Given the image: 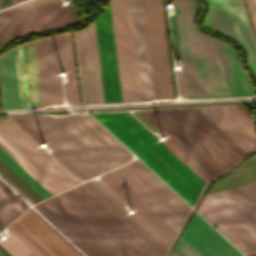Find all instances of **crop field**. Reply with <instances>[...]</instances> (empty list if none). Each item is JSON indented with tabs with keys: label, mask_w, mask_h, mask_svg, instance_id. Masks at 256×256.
<instances>
[{
	"label": "crop field",
	"mask_w": 256,
	"mask_h": 256,
	"mask_svg": "<svg viewBox=\"0 0 256 256\" xmlns=\"http://www.w3.org/2000/svg\"><path fill=\"white\" fill-rule=\"evenodd\" d=\"M75 36L84 103L104 102L94 22Z\"/></svg>",
	"instance_id": "bc2a9ffb"
},
{
	"label": "crop field",
	"mask_w": 256,
	"mask_h": 256,
	"mask_svg": "<svg viewBox=\"0 0 256 256\" xmlns=\"http://www.w3.org/2000/svg\"><path fill=\"white\" fill-rule=\"evenodd\" d=\"M0 256H6V255L0 250Z\"/></svg>",
	"instance_id": "d3111659"
},
{
	"label": "crop field",
	"mask_w": 256,
	"mask_h": 256,
	"mask_svg": "<svg viewBox=\"0 0 256 256\" xmlns=\"http://www.w3.org/2000/svg\"><path fill=\"white\" fill-rule=\"evenodd\" d=\"M192 206L205 181L128 111L91 113Z\"/></svg>",
	"instance_id": "412701ff"
},
{
	"label": "crop field",
	"mask_w": 256,
	"mask_h": 256,
	"mask_svg": "<svg viewBox=\"0 0 256 256\" xmlns=\"http://www.w3.org/2000/svg\"><path fill=\"white\" fill-rule=\"evenodd\" d=\"M13 192L0 181V206L15 219L29 206Z\"/></svg>",
	"instance_id": "dafd665d"
},
{
	"label": "crop field",
	"mask_w": 256,
	"mask_h": 256,
	"mask_svg": "<svg viewBox=\"0 0 256 256\" xmlns=\"http://www.w3.org/2000/svg\"><path fill=\"white\" fill-rule=\"evenodd\" d=\"M149 43L166 42L160 0H144ZM156 101L172 100L166 43L149 44Z\"/></svg>",
	"instance_id": "5142ce71"
},
{
	"label": "crop field",
	"mask_w": 256,
	"mask_h": 256,
	"mask_svg": "<svg viewBox=\"0 0 256 256\" xmlns=\"http://www.w3.org/2000/svg\"><path fill=\"white\" fill-rule=\"evenodd\" d=\"M122 99L124 102L155 101L143 0H110Z\"/></svg>",
	"instance_id": "f4fd0767"
},
{
	"label": "crop field",
	"mask_w": 256,
	"mask_h": 256,
	"mask_svg": "<svg viewBox=\"0 0 256 256\" xmlns=\"http://www.w3.org/2000/svg\"><path fill=\"white\" fill-rule=\"evenodd\" d=\"M111 173L178 233L191 208L144 165L135 160Z\"/></svg>",
	"instance_id": "d1516ede"
},
{
	"label": "crop field",
	"mask_w": 256,
	"mask_h": 256,
	"mask_svg": "<svg viewBox=\"0 0 256 256\" xmlns=\"http://www.w3.org/2000/svg\"><path fill=\"white\" fill-rule=\"evenodd\" d=\"M154 256H159L82 184L78 185ZM78 186L54 196L119 256H153Z\"/></svg>",
	"instance_id": "e52e79f7"
},
{
	"label": "crop field",
	"mask_w": 256,
	"mask_h": 256,
	"mask_svg": "<svg viewBox=\"0 0 256 256\" xmlns=\"http://www.w3.org/2000/svg\"><path fill=\"white\" fill-rule=\"evenodd\" d=\"M197 211L246 256L256 253V183L206 195Z\"/></svg>",
	"instance_id": "dd49c442"
},
{
	"label": "crop field",
	"mask_w": 256,
	"mask_h": 256,
	"mask_svg": "<svg viewBox=\"0 0 256 256\" xmlns=\"http://www.w3.org/2000/svg\"><path fill=\"white\" fill-rule=\"evenodd\" d=\"M22 1H25V0H12V5L22 2Z\"/></svg>",
	"instance_id": "ae1a2a85"
},
{
	"label": "crop field",
	"mask_w": 256,
	"mask_h": 256,
	"mask_svg": "<svg viewBox=\"0 0 256 256\" xmlns=\"http://www.w3.org/2000/svg\"><path fill=\"white\" fill-rule=\"evenodd\" d=\"M186 98L250 96L254 91L237 56L226 44L193 28L190 0H174ZM182 71H176L185 98Z\"/></svg>",
	"instance_id": "ac0d7876"
},
{
	"label": "crop field",
	"mask_w": 256,
	"mask_h": 256,
	"mask_svg": "<svg viewBox=\"0 0 256 256\" xmlns=\"http://www.w3.org/2000/svg\"><path fill=\"white\" fill-rule=\"evenodd\" d=\"M2 178H4L16 191H18L27 201H29L31 204H34L31 202L22 192H20L12 183H10L3 175L0 174Z\"/></svg>",
	"instance_id": "eef30255"
},
{
	"label": "crop field",
	"mask_w": 256,
	"mask_h": 256,
	"mask_svg": "<svg viewBox=\"0 0 256 256\" xmlns=\"http://www.w3.org/2000/svg\"><path fill=\"white\" fill-rule=\"evenodd\" d=\"M12 224L47 256H82L31 208ZM12 224L0 246L11 256H46Z\"/></svg>",
	"instance_id": "22f410ed"
},
{
	"label": "crop field",
	"mask_w": 256,
	"mask_h": 256,
	"mask_svg": "<svg viewBox=\"0 0 256 256\" xmlns=\"http://www.w3.org/2000/svg\"><path fill=\"white\" fill-rule=\"evenodd\" d=\"M1 46V45H0Z\"/></svg>",
	"instance_id": "bd1437ed"
},
{
	"label": "crop field",
	"mask_w": 256,
	"mask_h": 256,
	"mask_svg": "<svg viewBox=\"0 0 256 256\" xmlns=\"http://www.w3.org/2000/svg\"><path fill=\"white\" fill-rule=\"evenodd\" d=\"M197 108L247 154L256 147L253 123L234 105Z\"/></svg>",
	"instance_id": "214f88e0"
},
{
	"label": "crop field",
	"mask_w": 256,
	"mask_h": 256,
	"mask_svg": "<svg viewBox=\"0 0 256 256\" xmlns=\"http://www.w3.org/2000/svg\"><path fill=\"white\" fill-rule=\"evenodd\" d=\"M0 92L3 110L43 107L34 41L0 55Z\"/></svg>",
	"instance_id": "5a996713"
},
{
	"label": "crop field",
	"mask_w": 256,
	"mask_h": 256,
	"mask_svg": "<svg viewBox=\"0 0 256 256\" xmlns=\"http://www.w3.org/2000/svg\"><path fill=\"white\" fill-rule=\"evenodd\" d=\"M181 237L202 256H243L198 214Z\"/></svg>",
	"instance_id": "92a150f3"
},
{
	"label": "crop field",
	"mask_w": 256,
	"mask_h": 256,
	"mask_svg": "<svg viewBox=\"0 0 256 256\" xmlns=\"http://www.w3.org/2000/svg\"><path fill=\"white\" fill-rule=\"evenodd\" d=\"M210 11L205 25L236 39L248 52L249 64L256 74V48L240 0H208Z\"/></svg>",
	"instance_id": "733c2abd"
},
{
	"label": "crop field",
	"mask_w": 256,
	"mask_h": 256,
	"mask_svg": "<svg viewBox=\"0 0 256 256\" xmlns=\"http://www.w3.org/2000/svg\"><path fill=\"white\" fill-rule=\"evenodd\" d=\"M33 207L74 242L87 256H117L54 197Z\"/></svg>",
	"instance_id": "d9b57169"
},
{
	"label": "crop field",
	"mask_w": 256,
	"mask_h": 256,
	"mask_svg": "<svg viewBox=\"0 0 256 256\" xmlns=\"http://www.w3.org/2000/svg\"><path fill=\"white\" fill-rule=\"evenodd\" d=\"M95 24L105 103H122L109 2Z\"/></svg>",
	"instance_id": "4a817a6b"
},
{
	"label": "crop field",
	"mask_w": 256,
	"mask_h": 256,
	"mask_svg": "<svg viewBox=\"0 0 256 256\" xmlns=\"http://www.w3.org/2000/svg\"><path fill=\"white\" fill-rule=\"evenodd\" d=\"M43 103L64 104L59 74L67 73L64 94L68 104H80L70 32L35 41Z\"/></svg>",
	"instance_id": "28ad6ade"
},
{
	"label": "crop field",
	"mask_w": 256,
	"mask_h": 256,
	"mask_svg": "<svg viewBox=\"0 0 256 256\" xmlns=\"http://www.w3.org/2000/svg\"><path fill=\"white\" fill-rule=\"evenodd\" d=\"M14 219L0 207V231Z\"/></svg>",
	"instance_id": "730fd06b"
},
{
	"label": "crop field",
	"mask_w": 256,
	"mask_h": 256,
	"mask_svg": "<svg viewBox=\"0 0 256 256\" xmlns=\"http://www.w3.org/2000/svg\"><path fill=\"white\" fill-rule=\"evenodd\" d=\"M0 147L52 195L79 184L9 119H0Z\"/></svg>",
	"instance_id": "3316defc"
},
{
	"label": "crop field",
	"mask_w": 256,
	"mask_h": 256,
	"mask_svg": "<svg viewBox=\"0 0 256 256\" xmlns=\"http://www.w3.org/2000/svg\"><path fill=\"white\" fill-rule=\"evenodd\" d=\"M77 22L59 0H29L0 11V44L22 35Z\"/></svg>",
	"instance_id": "cbeb9de0"
},
{
	"label": "crop field",
	"mask_w": 256,
	"mask_h": 256,
	"mask_svg": "<svg viewBox=\"0 0 256 256\" xmlns=\"http://www.w3.org/2000/svg\"><path fill=\"white\" fill-rule=\"evenodd\" d=\"M39 145L48 144L76 178L88 180L132 159V155L87 113L69 116H7Z\"/></svg>",
	"instance_id": "8a807250"
},
{
	"label": "crop field",
	"mask_w": 256,
	"mask_h": 256,
	"mask_svg": "<svg viewBox=\"0 0 256 256\" xmlns=\"http://www.w3.org/2000/svg\"><path fill=\"white\" fill-rule=\"evenodd\" d=\"M100 179L119 198H121L127 205L135 210L136 214L130 216L128 212L122 207L124 204L99 181L92 180L83 183V185L89 189L101 202H103L114 214H116L138 236L143 229L167 251L177 233L110 172L103 174ZM143 230L139 237L143 239L160 256H164L166 251Z\"/></svg>",
	"instance_id": "d8731c3e"
},
{
	"label": "crop field",
	"mask_w": 256,
	"mask_h": 256,
	"mask_svg": "<svg viewBox=\"0 0 256 256\" xmlns=\"http://www.w3.org/2000/svg\"><path fill=\"white\" fill-rule=\"evenodd\" d=\"M0 159L7 164L16 174H18L27 184H29L44 199L52 196L36 180H34L24 169H22L12 158H10L0 148Z\"/></svg>",
	"instance_id": "00972430"
},
{
	"label": "crop field",
	"mask_w": 256,
	"mask_h": 256,
	"mask_svg": "<svg viewBox=\"0 0 256 256\" xmlns=\"http://www.w3.org/2000/svg\"><path fill=\"white\" fill-rule=\"evenodd\" d=\"M170 256H201L181 237L174 246Z\"/></svg>",
	"instance_id": "a9b5d70f"
},
{
	"label": "crop field",
	"mask_w": 256,
	"mask_h": 256,
	"mask_svg": "<svg viewBox=\"0 0 256 256\" xmlns=\"http://www.w3.org/2000/svg\"><path fill=\"white\" fill-rule=\"evenodd\" d=\"M255 32H256V0H245Z\"/></svg>",
	"instance_id": "4177f3b9"
},
{
	"label": "crop field",
	"mask_w": 256,
	"mask_h": 256,
	"mask_svg": "<svg viewBox=\"0 0 256 256\" xmlns=\"http://www.w3.org/2000/svg\"><path fill=\"white\" fill-rule=\"evenodd\" d=\"M1 1V0H0Z\"/></svg>",
	"instance_id": "750c4746"
},
{
	"label": "crop field",
	"mask_w": 256,
	"mask_h": 256,
	"mask_svg": "<svg viewBox=\"0 0 256 256\" xmlns=\"http://www.w3.org/2000/svg\"><path fill=\"white\" fill-rule=\"evenodd\" d=\"M137 112L167 138L163 143L206 182L247 155L196 107Z\"/></svg>",
	"instance_id": "34b2d1b8"
}]
</instances>
